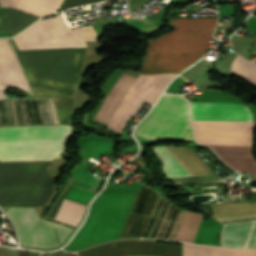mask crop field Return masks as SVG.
<instances>
[{"mask_svg": "<svg viewBox=\"0 0 256 256\" xmlns=\"http://www.w3.org/2000/svg\"><path fill=\"white\" fill-rule=\"evenodd\" d=\"M8 40L34 98L73 97L86 48L19 51ZM8 40L0 39V99L8 87L28 91Z\"/></svg>", "mask_w": 256, "mask_h": 256, "instance_id": "1", "label": "crop field"}, {"mask_svg": "<svg viewBox=\"0 0 256 256\" xmlns=\"http://www.w3.org/2000/svg\"><path fill=\"white\" fill-rule=\"evenodd\" d=\"M170 20L176 30L152 40L141 73H178L205 53L216 18Z\"/></svg>", "mask_w": 256, "mask_h": 256, "instance_id": "2", "label": "crop field"}, {"mask_svg": "<svg viewBox=\"0 0 256 256\" xmlns=\"http://www.w3.org/2000/svg\"><path fill=\"white\" fill-rule=\"evenodd\" d=\"M92 194V191L71 182L62 204L83 210L85 203ZM63 205L57 218L77 224L83 211ZM16 209L29 224L36 248L59 246L72 231V229L40 219L34 208ZM16 209L10 207L5 214L16 229L18 241L23 246L35 247L31 231Z\"/></svg>", "mask_w": 256, "mask_h": 256, "instance_id": "3", "label": "crop field"}, {"mask_svg": "<svg viewBox=\"0 0 256 256\" xmlns=\"http://www.w3.org/2000/svg\"><path fill=\"white\" fill-rule=\"evenodd\" d=\"M191 119L253 121L247 106L237 103L190 102ZM191 120L202 144L250 146L254 122Z\"/></svg>", "mask_w": 256, "mask_h": 256, "instance_id": "4", "label": "crop field"}, {"mask_svg": "<svg viewBox=\"0 0 256 256\" xmlns=\"http://www.w3.org/2000/svg\"><path fill=\"white\" fill-rule=\"evenodd\" d=\"M71 126L0 128L1 140L67 139ZM67 140L1 141L0 162L51 160L61 157Z\"/></svg>", "mask_w": 256, "mask_h": 256, "instance_id": "5", "label": "crop field"}, {"mask_svg": "<svg viewBox=\"0 0 256 256\" xmlns=\"http://www.w3.org/2000/svg\"><path fill=\"white\" fill-rule=\"evenodd\" d=\"M125 192L107 190L98 200L88 223L68 249H75L106 240ZM135 192H126L108 239L119 236Z\"/></svg>", "mask_w": 256, "mask_h": 256, "instance_id": "6", "label": "crop field"}, {"mask_svg": "<svg viewBox=\"0 0 256 256\" xmlns=\"http://www.w3.org/2000/svg\"><path fill=\"white\" fill-rule=\"evenodd\" d=\"M19 50L87 47L98 37L92 25L69 30L61 14L41 19L13 38Z\"/></svg>", "mask_w": 256, "mask_h": 256, "instance_id": "7", "label": "crop field"}, {"mask_svg": "<svg viewBox=\"0 0 256 256\" xmlns=\"http://www.w3.org/2000/svg\"><path fill=\"white\" fill-rule=\"evenodd\" d=\"M189 103L180 96L164 94L136 131L144 139H191Z\"/></svg>", "mask_w": 256, "mask_h": 256, "instance_id": "8", "label": "crop field"}, {"mask_svg": "<svg viewBox=\"0 0 256 256\" xmlns=\"http://www.w3.org/2000/svg\"><path fill=\"white\" fill-rule=\"evenodd\" d=\"M173 76H143L139 74L108 125L122 131L125 123L144 101L143 99L153 104Z\"/></svg>", "mask_w": 256, "mask_h": 256, "instance_id": "9", "label": "crop field"}, {"mask_svg": "<svg viewBox=\"0 0 256 256\" xmlns=\"http://www.w3.org/2000/svg\"><path fill=\"white\" fill-rule=\"evenodd\" d=\"M78 256H181V247L154 240H118L77 252Z\"/></svg>", "mask_w": 256, "mask_h": 256, "instance_id": "10", "label": "crop field"}, {"mask_svg": "<svg viewBox=\"0 0 256 256\" xmlns=\"http://www.w3.org/2000/svg\"><path fill=\"white\" fill-rule=\"evenodd\" d=\"M152 150L163 164L162 172L165 178L188 175H210L184 147L155 146Z\"/></svg>", "mask_w": 256, "mask_h": 256, "instance_id": "11", "label": "crop field"}, {"mask_svg": "<svg viewBox=\"0 0 256 256\" xmlns=\"http://www.w3.org/2000/svg\"><path fill=\"white\" fill-rule=\"evenodd\" d=\"M220 244L223 247L255 248L256 220L222 224Z\"/></svg>", "mask_w": 256, "mask_h": 256, "instance_id": "12", "label": "crop field"}, {"mask_svg": "<svg viewBox=\"0 0 256 256\" xmlns=\"http://www.w3.org/2000/svg\"><path fill=\"white\" fill-rule=\"evenodd\" d=\"M208 146H210L228 166L237 171L256 175V161L250 155L251 147Z\"/></svg>", "mask_w": 256, "mask_h": 256, "instance_id": "13", "label": "crop field"}, {"mask_svg": "<svg viewBox=\"0 0 256 256\" xmlns=\"http://www.w3.org/2000/svg\"><path fill=\"white\" fill-rule=\"evenodd\" d=\"M183 256H256V250L229 249L183 243Z\"/></svg>", "mask_w": 256, "mask_h": 256, "instance_id": "14", "label": "crop field"}, {"mask_svg": "<svg viewBox=\"0 0 256 256\" xmlns=\"http://www.w3.org/2000/svg\"><path fill=\"white\" fill-rule=\"evenodd\" d=\"M62 0H19L18 9L37 16H44L55 12Z\"/></svg>", "mask_w": 256, "mask_h": 256, "instance_id": "15", "label": "crop field"}, {"mask_svg": "<svg viewBox=\"0 0 256 256\" xmlns=\"http://www.w3.org/2000/svg\"><path fill=\"white\" fill-rule=\"evenodd\" d=\"M231 69H233L234 71H237L239 73H242L246 77L256 81V64L249 62V61L241 58L238 55L235 58L232 66H231ZM234 71H232V72L244 77L243 75H241L237 72H234ZM246 77H244V78H246ZM248 78H246V79H248ZM250 79H248V80H250ZM252 80H250V81H252ZM254 81H252V82H254ZM254 83H256V82H254Z\"/></svg>", "mask_w": 256, "mask_h": 256, "instance_id": "16", "label": "crop field"}, {"mask_svg": "<svg viewBox=\"0 0 256 256\" xmlns=\"http://www.w3.org/2000/svg\"><path fill=\"white\" fill-rule=\"evenodd\" d=\"M95 1H101V0H65L63 5L59 9V11L67 9V8H71V7H74V6L95 2Z\"/></svg>", "mask_w": 256, "mask_h": 256, "instance_id": "17", "label": "crop field"}, {"mask_svg": "<svg viewBox=\"0 0 256 256\" xmlns=\"http://www.w3.org/2000/svg\"><path fill=\"white\" fill-rule=\"evenodd\" d=\"M17 1L18 0H0V4L15 8Z\"/></svg>", "mask_w": 256, "mask_h": 256, "instance_id": "18", "label": "crop field"}, {"mask_svg": "<svg viewBox=\"0 0 256 256\" xmlns=\"http://www.w3.org/2000/svg\"><path fill=\"white\" fill-rule=\"evenodd\" d=\"M253 54H256V43H254Z\"/></svg>", "mask_w": 256, "mask_h": 256, "instance_id": "19", "label": "crop field"}]
</instances>
